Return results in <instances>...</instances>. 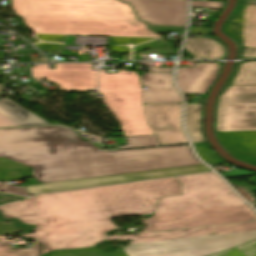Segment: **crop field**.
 <instances>
[{"label":"crop field","instance_id":"1","mask_svg":"<svg viewBox=\"0 0 256 256\" xmlns=\"http://www.w3.org/2000/svg\"><path fill=\"white\" fill-rule=\"evenodd\" d=\"M198 164L189 145L97 151L67 127L0 130V169L35 168L41 183Z\"/></svg>","mask_w":256,"mask_h":256},{"label":"crop field","instance_id":"2","mask_svg":"<svg viewBox=\"0 0 256 256\" xmlns=\"http://www.w3.org/2000/svg\"><path fill=\"white\" fill-rule=\"evenodd\" d=\"M181 195L176 178L40 195L0 207L5 220L37 228L104 218L149 214L161 197Z\"/></svg>","mask_w":256,"mask_h":256},{"label":"crop field","instance_id":"3","mask_svg":"<svg viewBox=\"0 0 256 256\" xmlns=\"http://www.w3.org/2000/svg\"><path fill=\"white\" fill-rule=\"evenodd\" d=\"M34 33L162 38L118 0H12Z\"/></svg>","mask_w":256,"mask_h":256},{"label":"crop field","instance_id":"4","mask_svg":"<svg viewBox=\"0 0 256 256\" xmlns=\"http://www.w3.org/2000/svg\"><path fill=\"white\" fill-rule=\"evenodd\" d=\"M256 239V231L130 244L106 253L97 248L53 251L49 256H208Z\"/></svg>","mask_w":256,"mask_h":256},{"label":"crop field","instance_id":"5","mask_svg":"<svg viewBox=\"0 0 256 256\" xmlns=\"http://www.w3.org/2000/svg\"><path fill=\"white\" fill-rule=\"evenodd\" d=\"M100 93L115 114L125 136L155 134L147 125L141 97V85L135 72L106 73L99 70Z\"/></svg>","mask_w":256,"mask_h":256},{"label":"crop field","instance_id":"6","mask_svg":"<svg viewBox=\"0 0 256 256\" xmlns=\"http://www.w3.org/2000/svg\"><path fill=\"white\" fill-rule=\"evenodd\" d=\"M177 179L182 196L161 198L154 213L246 204L214 172Z\"/></svg>","mask_w":256,"mask_h":256},{"label":"crop field","instance_id":"7","mask_svg":"<svg viewBox=\"0 0 256 256\" xmlns=\"http://www.w3.org/2000/svg\"><path fill=\"white\" fill-rule=\"evenodd\" d=\"M117 228L110 219H104L39 228L23 236L42 243L45 247L43 254H46L52 250L92 247L106 239L108 230Z\"/></svg>","mask_w":256,"mask_h":256},{"label":"crop field","instance_id":"8","mask_svg":"<svg viewBox=\"0 0 256 256\" xmlns=\"http://www.w3.org/2000/svg\"><path fill=\"white\" fill-rule=\"evenodd\" d=\"M256 220L247 205L153 214L146 231L168 230Z\"/></svg>","mask_w":256,"mask_h":256},{"label":"crop field","instance_id":"9","mask_svg":"<svg viewBox=\"0 0 256 256\" xmlns=\"http://www.w3.org/2000/svg\"><path fill=\"white\" fill-rule=\"evenodd\" d=\"M256 130V85L228 86L222 94L216 131Z\"/></svg>","mask_w":256,"mask_h":256},{"label":"crop field","instance_id":"10","mask_svg":"<svg viewBox=\"0 0 256 256\" xmlns=\"http://www.w3.org/2000/svg\"><path fill=\"white\" fill-rule=\"evenodd\" d=\"M206 171H211V170L205 167L204 165H198V166H188V167L169 168V169H161V170L120 174V175L84 179V180L46 183V184L27 186L25 188L28 194L31 195V194L64 191V190H71V189H78V188H86V187L135 181V180H143V179L197 173V172H206Z\"/></svg>","mask_w":256,"mask_h":256},{"label":"crop field","instance_id":"11","mask_svg":"<svg viewBox=\"0 0 256 256\" xmlns=\"http://www.w3.org/2000/svg\"><path fill=\"white\" fill-rule=\"evenodd\" d=\"M34 78L41 77L58 83L64 91H84L97 87L96 70L91 64H55V69H48L47 64L33 67Z\"/></svg>","mask_w":256,"mask_h":256},{"label":"crop field","instance_id":"12","mask_svg":"<svg viewBox=\"0 0 256 256\" xmlns=\"http://www.w3.org/2000/svg\"><path fill=\"white\" fill-rule=\"evenodd\" d=\"M144 108L160 145L188 143L181 128V104H144Z\"/></svg>","mask_w":256,"mask_h":256},{"label":"crop field","instance_id":"13","mask_svg":"<svg viewBox=\"0 0 256 256\" xmlns=\"http://www.w3.org/2000/svg\"><path fill=\"white\" fill-rule=\"evenodd\" d=\"M129 2L142 21L149 24L185 26L187 0H121Z\"/></svg>","mask_w":256,"mask_h":256},{"label":"crop field","instance_id":"14","mask_svg":"<svg viewBox=\"0 0 256 256\" xmlns=\"http://www.w3.org/2000/svg\"><path fill=\"white\" fill-rule=\"evenodd\" d=\"M249 230H256V221L239 223V224H231V225H223V226H215V227H207V228H199V229H189V230H179V231H169V232L138 233L136 239L132 243L160 241V240L241 232V231H249Z\"/></svg>","mask_w":256,"mask_h":256},{"label":"crop field","instance_id":"15","mask_svg":"<svg viewBox=\"0 0 256 256\" xmlns=\"http://www.w3.org/2000/svg\"><path fill=\"white\" fill-rule=\"evenodd\" d=\"M143 86L149 91H142L143 103H182L180 94L172 86V73L144 74Z\"/></svg>","mask_w":256,"mask_h":256},{"label":"crop field","instance_id":"16","mask_svg":"<svg viewBox=\"0 0 256 256\" xmlns=\"http://www.w3.org/2000/svg\"><path fill=\"white\" fill-rule=\"evenodd\" d=\"M224 32L244 47L256 48V6L242 5L238 15L227 23Z\"/></svg>","mask_w":256,"mask_h":256},{"label":"crop field","instance_id":"17","mask_svg":"<svg viewBox=\"0 0 256 256\" xmlns=\"http://www.w3.org/2000/svg\"><path fill=\"white\" fill-rule=\"evenodd\" d=\"M216 135L233 157L256 164V131L216 132Z\"/></svg>","mask_w":256,"mask_h":256},{"label":"crop field","instance_id":"18","mask_svg":"<svg viewBox=\"0 0 256 256\" xmlns=\"http://www.w3.org/2000/svg\"><path fill=\"white\" fill-rule=\"evenodd\" d=\"M0 113L22 126L51 125L7 97L0 99Z\"/></svg>","mask_w":256,"mask_h":256},{"label":"crop field","instance_id":"19","mask_svg":"<svg viewBox=\"0 0 256 256\" xmlns=\"http://www.w3.org/2000/svg\"><path fill=\"white\" fill-rule=\"evenodd\" d=\"M185 49L194 58L220 59L224 57L225 49L210 38H188Z\"/></svg>","mask_w":256,"mask_h":256},{"label":"crop field","instance_id":"20","mask_svg":"<svg viewBox=\"0 0 256 256\" xmlns=\"http://www.w3.org/2000/svg\"><path fill=\"white\" fill-rule=\"evenodd\" d=\"M202 103L187 104L186 127L194 143L205 142L201 135Z\"/></svg>","mask_w":256,"mask_h":256},{"label":"crop field","instance_id":"21","mask_svg":"<svg viewBox=\"0 0 256 256\" xmlns=\"http://www.w3.org/2000/svg\"><path fill=\"white\" fill-rule=\"evenodd\" d=\"M216 78L177 77V84L184 93L205 94Z\"/></svg>","mask_w":256,"mask_h":256},{"label":"crop field","instance_id":"22","mask_svg":"<svg viewBox=\"0 0 256 256\" xmlns=\"http://www.w3.org/2000/svg\"><path fill=\"white\" fill-rule=\"evenodd\" d=\"M218 63H194V67H181L177 76L217 77Z\"/></svg>","mask_w":256,"mask_h":256},{"label":"crop field","instance_id":"23","mask_svg":"<svg viewBox=\"0 0 256 256\" xmlns=\"http://www.w3.org/2000/svg\"><path fill=\"white\" fill-rule=\"evenodd\" d=\"M256 84V62H248L240 65L230 85Z\"/></svg>","mask_w":256,"mask_h":256},{"label":"crop field","instance_id":"24","mask_svg":"<svg viewBox=\"0 0 256 256\" xmlns=\"http://www.w3.org/2000/svg\"><path fill=\"white\" fill-rule=\"evenodd\" d=\"M211 256H256V240L230 248Z\"/></svg>","mask_w":256,"mask_h":256},{"label":"crop field","instance_id":"25","mask_svg":"<svg viewBox=\"0 0 256 256\" xmlns=\"http://www.w3.org/2000/svg\"><path fill=\"white\" fill-rule=\"evenodd\" d=\"M41 250L38 243L34 247L11 250L9 245L0 242V256H40Z\"/></svg>","mask_w":256,"mask_h":256},{"label":"crop field","instance_id":"26","mask_svg":"<svg viewBox=\"0 0 256 256\" xmlns=\"http://www.w3.org/2000/svg\"><path fill=\"white\" fill-rule=\"evenodd\" d=\"M125 140L127 146H120L119 149L159 145L155 135L126 137Z\"/></svg>","mask_w":256,"mask_h":256},{"label":"crop field","instance_id":"27","mask_svg":"<svg viewBox=\"0 0 256 256\" xmlns=\"http://www.w3.org/2000/svg\"><path fill=\"white\" fill-rule=\"evenodd\" d=\"M198 154L208 164H222L224 163L219 159L208 147L207 144L194 145Z\"/></svg>","mask_w":256,"mask_h":256},{"label":"crop field","instance_id":"28","mask_svg":"<svg viewBox=\"0 0 256 256\" xmlns=\"http://www.w3.org/2000/svg\"><path fill=\"white\" fill-rule=\"evenodd\" d=\"M33 170L34 169L9 171V172L0 171V181L23 178V177H31Z\"/></svg>","mask_w":256,"mask_h":256},{"label":"crop field","instance_id":"29","mask_svg":"<svg viewBox=\"0 0 256 256\" xmlns=\"http://www.w3.org/2000/svg\"><path fill=\"white\" fill-rule=\"evenodd\" d=\"M0 192L28 196L24 187H17V186H12V185L3 184V183H0Z\"/></svg>","mask_w":256,"mask_h":256},{"label":"crop field","instance_id":"30","mask_svg":"<svg viewBox=\"0 0 256 256\" xmlns=\"http://www.w3.org/2000/svg\"><path fill=\"white\" fill-rule=\"evenodd\" d=\"M149 28H151L156 32H161V33H167V32L183 33L185 27L149 25Z\"/></svg>","mask_w":256,"mask_h":256},{"label":"crop field","instance_id":"31","mask_svg":"<svg viewBox=\"0 0 256 256\" xmlns=\"http://www.w3.org/2000/svg\"><path fill=\"white\" fill-rule=\"evenodd\" d=\"M29 229L31 228H28L25 230H29ZM20 231H24V230H19L13 223L5 224L0 221V236L10 234V233L20 232Z\"/></svg>","mask_w":256,"mask_h":256},{"label":"crop field","instance_id":"32","mask_svg":"<svg viewBox=\"0 0 256 256\" xmlns=\"http://www.w3.org/2000/svg\"><path fill=\"white\" fill-rule=\"evenodd\" d=\"M192 7H209V8H222V2L215 1H191Z\"/></svg>","mask_w":256,"mask_h":256},{"label":"crop field","instance_id":"33","mask_svg":"<svg viewBox=\"0 0 256 256\" xmlns=\"http://www.w3.org/2000/svg\"><path fill=\"white\" fill-rule=\"evenodd\" d=\"M139 64H145L149 67V72H172L173 68H154V62H139Z\"/></svg>","mask_w":256,"mask_h":256},{"label":"crop field","instance_id":"34","mask_svg":"<svg viewBox=\"0 0 256 256\" xmlns=\"http://www.w3.org/2000/svg\"><path fill=\"white\" fill-rule=\"evenodd\" d=\"M23 198L25 197H19V196L0 193V204L23 199Z\"/></svg>","mask_w":256,"mask_h":256},{"label":"crop field","instance_id":"35","mask_svg":"<svg viewBox=\"0 0 256 256\" xmlns=\"http://www.w3.org/2000/svg\"><path fill=\"white\" fill-rule=\"evenodd\" d=\"M11 126H20L16 124L15 122L9 120L5 116L0 114V127H11Z\"/></svg>","mask_w":256,"mask_h":256},{"label":"crop field","instance_id":"36","mask_svg":"<svg viewBox=\"0 0 256 256\" xmlns=\"http://www.w3.org/2000/svg\"><path fill=\"white\" fill-rule=\"evenodd\" d=\"M241 57L243 58L256 57V49L245 48Z\"/></svg>","mask_w":256,"mask_h":256},{"label":"crop field","instance_id":"37","mask_svg":"<svg viewBox=\"0 0 256 256\" xmlns=\"http://www.w3.org/2000/svg\"><path fill=\"white\" fill-rule=\"evenodd\" d=\"M136 236L133 235H120V236H111L107 237L106 240H125V239H132L134 240Z\"/></svg>","mask_w":256,"mask_h":256},{"label":"crop field","instance_id":"38","mask_svg":"<svg viewBox=\"0 0 256 256\" xmlns=\"http://www.w3.org/2000/svg\"><path fill=\"white\" fill-rule=\"evenodd\" d=\"M243 4L256 5V0H241Z\"/></svg>","mask_w":256,"mask_h":256},{"label":"crop field","instance_id":"39","mask_svg":"<svg viewBox=\"0 0 256 256\" xmlns=\"http://www.w3.org/2000/svg\"><path fill=\"white\" fill-rule=\"evenodd\" d=\"M1 86H2V85H0V89H1Z\"/></svg>","mask_w":256,"mask_h":256}]
</instances>
